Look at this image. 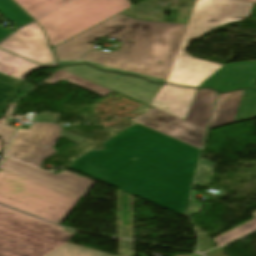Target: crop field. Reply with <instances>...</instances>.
I'll return each mask as SVG.
<instances>
[{"instance_id": "22f410ed", "label": "crop field", "mask_w": 256, "mask_h": 256, "mask_svg": "<svg viewBox=\"0 0 256 256\" xmlns=\"http://www.w3.org/2000/svg\"><path fill=\"white\" fill-rule=\"evenodd\" d=\"M256 86V61L226 64L199 87H212L225 92L242 87Z\"/></svg>"}, {"instance_id": "ae1a2a85", "label": "crop field", "mask_w": 256, "mask_h": 256, "mask_svg": "<svg viewBox=\"0 0 256 256\" xmlns=\"http://www.w3.org/2000/svg\"><path fill=\"white\" fill-rule=\"evenodd\" d=\"M244 1L256 2V0H244Z\"/></svg>"}, {"instance_id": "d8731c3e", "label": "crop field", "mask_w": 256, "mask_h": 256, "mask_svg": "<svg viewBox=\"0 0 256 256\" xmlns=\"http://www.w3.org/2000/svg\"><path fill=\"white\" fill-rule=\"evenodd\" d=\"M61 69L145 104L151 102L162 86V84H153L137 77L99 71L84 64L64 67Z\"/></svg>"}, {"instance_id": "3316defc", "label": "crop field", "mask_w": 256, "mask_h": 256, "mask_svg": "<svg viewBox=\"0 0 256 256\" xmlns=\"http://www.w3.org/2000/svg\"><path fill=\"white\" fill-rule=\"evenodd\" d=\"M137 123L162 132L191 146L202 148L206 130L154 109L136 119Z\"/></svg>"}, {"instance_id": "28ad6ade", "label": "crop field", "mask_w": 256, "mask_h": 256, "mask_svg": "<svg viewBox=\"0 0 256 256\" xmlns=\"http://www.w3.org/2000/svg\"><path fill=\"white\" fill-rule=\"evenodd\" d=\"M0 47L40 64L56 61L43 31L36 22L15 32L2 42Z\"/></svg>"}, {"instance_id": "d1516ede", "label": "crop field", "mask_w": 256, "mask_h": 256, "mask_svg": "<svg viewBox=\"0 0 256 256\" xmlns=\"http://www.w3.org/2000/svg\"><path fill=\"white\" fill-rule=\"evenodd\" d=\"M245 94L249 97H245ZM255 116L256 89L219 93L208 128Z\"/></svg>"}, {"instance_id": "214f88e0", "label": "crop field", "mask_w": 256, "mask_h": 256, "mask_svg": "<svg viewBox=\"0 0 256 256\" xmlns=\"http://www.w3.org/2000/svg\"><path fill=\"white\" fill-rule=\"evenodd\" d=\"M22 82L0 73V117Z\"/></svg>"}, {"instance_id": "4177f3b9", "label": "crop field", "mask_w": 256, "mask_h": 256, "mask_svg": "<svg viewBox=\"0 0 256 256\" xmlns=\"http://www.w3.org/2000/svg\"><path fill=\"white\" fill-rule=\"evenodd\" d=\"M60 114H53V113H40L34 118L31 119V121L36 122H53L56 123L58 117Z\"/></svg>"}, {"instance_id": "92a150f3", "label": "crop field", "mask_w": 256, "mask_h": 256, "mask_svg": "<svg viewBox=\"0 0 256 256\" xmlns=\"http://www.w3.org/2000/svg\"><path fill=\"white\" fill-rule=\"evenodd\" d=\"M46 256H113L96 250L80 247L74 244L66 243L53 250ZM190 256V255H188Z\"/></svg>"}, {"instance_id": "d9b57169", "label": "crop field", "mask_w": 256, "mask_h": 256, "mask_svg": "<svg viewBox=\"0 0 256 256\" xmlns=\"http://www.w3.org/2000/svg\"><path fill=\"white\" fill-rule=\"evenodd\" d=\"M0 14L18 27L32 21L12 0H0ZM9 34L11 33L0 27V41Z\"/></svg>"}, {"instance_id": "5142ce71", "label": "crop field", "mask_w": 256, "mask_h": 256, "mask_svg": "<svg viewBox=\"0 0 256 256\" xmlns=\"http://www.w3.org/2000/svg\"><path fill=\"white\" fill-rule=\"evenodd\" d=\"M217 94L209 89H198L185 120L206 129Z\"/></svg>"}, {"instance_id": "dafd665d", "label": "crop field", "mask_w": 256, "mask_h": 256, "mask_svg": "<svg viewBox=\"0 0 256 256\" xmlns=\"http://www.w3.org/2000/svg\"><path fill=\"white\" fill-rule=\"evenodd\" d=\"M253 216L256 218V213L253 214ZM256 229V219L214 239L215 242L219 243L220 245L218 246H221V245H224L226 243H229L253 230ZM216 246V247H218Z\"/></svg>"}, {"instance_id": "4a817a6b", "label": "crop field", "mask_w": 256, "mask_h": 256, "mask_svg": "<svg viewBox=\"0 0 256 256\" xmlns=\"http://www.w3.org/2000/svg\"><path fill=\"white\" fill-rule=\"evenodd\" d=\"M34 20L71 0H14ZM46 15V14H45Z\"/></svg>"}, {"instance_id": "a9b5d70f", "label": "crop field", "mask_w": 256, "mask_h": 256, "mask_svg": "<svg viewBox=\"0 0 256 256\" xmlns=\"http://www.w3.org/2000/svg\"><path fill=\"white\" fill-rule=\"evenodd\" d=\"M74 63H80V62L69 61V62H61V63H59V64H60V65H65V64H74ZM85 63L91 64V65H93V66H96V67H98V68H100V69H104V70H109V71H114V72H120V73H125V74H130V75H139V74L130 73V72L117 71V70H114V69H111V68H107V67H104V66H100V65H96V64H93V63H90V62H85ZM139 76L145 77L146 79L151 80V81H153V82H164L163 80H159V79H155V78H151V77H147V76H143V75H139Z\"/></svg>"}, {"instance_id": "cbeb9de0", "label": "crop field", "mask_w": 256, "mask_h": 256, "mask_svg": "<svg viewBox=\"0 0 256 256\" xmlns=\"http://www.w3.org/2000/svg\"><path fill=\"white\" fill-rule=\"evenodd\" d=\"M196 90L163 84L149 105L184 120Z\"/></svg>"}, {"instance_id": "8a807250", "label": "crop field", "mask_w": 256, "mask_h": 256, "mask_svg": "<svg viewBox=\"0 0 256 256\" xmlns=\"http://www.w3.org/2000/svg\"><path fill=\"white\" fill-rule=\"evenodd\" d=\"M104 146L67 168L188 217L200 149L139 124Z\"/></svg>"}, {"instance_id": "dd49c442", "label": "crop field", "mask_w": 256, "mask_h": 256, "mask_svg": "<svg viewBox=\"0 0 256 256\" xmlns=\"http://www.w3.org/2000/svg\"><path fill=\"white\" fill-rule=\"evenodd\" d=\"M130 7L128 0H75L37 21L54 47Z\"/></svg>"}, {"instance_id": "ac0d7876", "label": "crop field", "mask_w": 256, "mask_h": 256, "mask_svg": "<svg viewBox=\"0 0 256 256\" xmlns=\"http://www.w3.org/2000/svg\"><path fill=\"white\" fill-rule=\"evenodd\" d=\"M187 24L134 20L116 16L56 47L57 60H79L95 50L90 42L111 37L122 42L119 51H94L82 60L167 79Z\"/></svg>"}, {"instance_id": "412701ff", "label": "crop field", "mask_w": 256, "mask_h": 256, "mask_svg": "<svg viewBox=\"0 0 256 256\" xmlns=\"http://www.w3.org/2000/svg\"><path fill=\"white\" fill-rule=\"evenodd\" d=\"M73 235L0 206V256H44Z\"/></svg>"}, {"instance_id": "d3111659", "label": "crop field", "mask_w": 256, "mask_h": 256, "mask_svg": "<svg viewBox=\"0 0 256 256\" xmlns=\"http://www.w3.org/2000/svg\"><path fill=\"white\" fill-rule=\"evenodd\" d=\"M0 151H1V141H0Z\"/></svg>"}, {"instance_id": "bc2a9ffb", "label": "crop field", "mask_w": 256, "mask_h": 256, "mask_svg": "<svg viewBox=\"0 0 256 256\" xmlns=\"http://www.w3.org/2000/svg\"><path fill=\"white\" fill-rule=\"evenodd\" d=\"M0 60L15 66L12 72L10 73V76L17 78L21 81H23L26 74L30 71L48 66H58L57 63L50 64L47 66H39L30 61L21 59L15 55H12L2 50H0Z\"/></svg>"}, {"instance_id": "e52e79f7", "label": "crop field", "mask_w": 256, "mask_h": 256, "mask_svg": "<svg viewBox=\"0 0 256 256\" xmlns=\"http://www.w3.org/2000/svg\"><path fill=\"white\" fill-rule=\"evenodd\" d=\"M58 137L76 144L86 140L55 125L33 123L31 130H18L6 155L39 167L43 159L55 152L52 147Z\"/></svg>"}, {"instance_id": "eef30255", "label": "crop field", "mask_w": 256, "mask_h": 256, "mask_svg": "<svg viewBox=\"0 0 256 256\" xmlns=\"http://www.w3.org/2000/svg\"><path fill=\"white\" fill-rule=\"evenodd\" d=\"M242 19H244V18H242ZM231 22H236V21H228V22H226V23H231ZM226 23H225V24H226ZM214 28H215V27H214ZM211 29H213V28H211Z\"/></svg>"}, {"instance_id": "f4fd0767", "label": "crop field", "mask_w": 256, "mask_h": 256, "mask_svg": "<svg viewBox=\"0 0 256 256\" xmlns=\"http://www.w3.org/2000/svg\"><path fill=\"white\" fill-rule=\"evenodd\" d=\"M77 201L78 198L0 170L1 203L59 224Z\"/></svg>"}, {"instance_id": "733c2abd", "label": "crop field", "mask_w": 256, "mask_h": 256, "mask_svg": "<svg viewBox=\"0 0 256 256\" xmlns=\"http://www.w3.org/2000/svg\"><path fill=\"white\" fill-rule=\"evenodd\" d=\"M61 80H67L79 87H82L84 89H87L89 91H92L94 93H97L103 97H105L106 95L112 93V91L97 85L95 83L89 82L87 80H84L82 78H79L73 74H70L64 70L59 69L58 71H56L54 74H52L50 77H48L46 80H44V82L52 84V83H57Z\"/></svg>"}, {"instance_id": "34b2d1b8", "label": "crop field", "mask_w": 256, "mask_h": 256, "mask_svg": "<svg viewBox=\"0 0 256 256\" xmlns=\"http://www.w3.org/2000/svg\"><path fill=\"white\" fill-rule=\"evenodd\" d=\"M253 3L238 0H197L178 53L166 82L198 87L223 65L191 58L182 53L187 40L198 37L213 26L249 16Z\"/></svg>"}, {"instance_id": "00972430", "label": "crop field", "mask_w": 256, "mask_h": 256, "mask_svg": "<svg viewBox=\"0 0 256 256\" xmlns=\"http://www.w3.org/2000/svg\"><path fill=\"white\" fill-rule=\"evenodd\" d=\"M14 103L10 104V107L8 109V111L6 112L5 116L0 119V138L3 140L4 142V147H3V152L0 158V161L8 147V144L16 130V128L11 127L8 125V121H6L5 119L10 115V113L12 112L13 108H14Z\"/></svg>"}, {"instance_id": "730fd06b", "label": "crop field", "mask_w": 256, "mask_h": 256, "mask_svg": "<svg viewBox=\"0 0 256 256\" xmlns=\"http://www.w3.org/2000/svg\"><path fill=\"white\" fill-rule=\"evenodd\" d=\"M12 69H13V66L0 62V72L9 75Z\"/></svg>"}, {"instance_id": "5a996713", "label": "crop field", "mask_w": 256, "mask_h": 256, "mask_svg": "<svg viewBox=\"0 0 256 256\" xmlns=\"http://www.w3.org/2000/svg\"><path fill=\"white\" fill-rule=\"evenodd\" d=\"M0 169L78 198L84 197L93 184V181L66 171L54 175L8 157H5Z\"/></svg>"}]
</instances>
